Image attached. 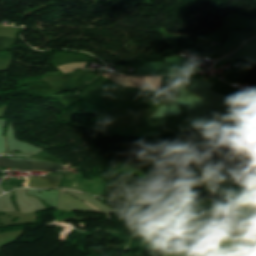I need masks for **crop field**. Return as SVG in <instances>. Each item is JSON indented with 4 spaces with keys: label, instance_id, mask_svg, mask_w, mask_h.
<instances>
[{
    "label": "crop field",
    "instance_id": "crop-field-4",
    "mask_svg": "<svg viewBox=\"0 0 256 256\" xmlns=\"http://www.w3.org/2000/svg\"><path fill=\"white\" fill-rule=\"evenodd\" d=\"M222 255L219 250L216 251H211V252H203V253H198V254H193V255H188V256H220Z\"/></svg>",
    "mask_w": 256,
    "mask_h": 256
},
{
    "label": "crop field",
    "instance_id": "crop-field-1",
    "mask_svg": "<svg viewBox=\"0 0 256 256\" xmlns=\"http://www.w3.org/2000/svg\"><path fill=\"white\" fill-rule=\"evenodd\" d=\"M202 149L195 153L194 163L212 169L237 168L244 165L245 161L238 158L236 148L206 144Z\"/></svg>",
    "mask_w": 256,
    "mask_h": 256
},
{
    "label": "crop field",
    "instance_id": "crop-field-2",
    "mask_svg": "<svg viewBox=\"0 0 256 256\" xmlns=\"http://www.w3.org/2000/svg\"><path fill=\"white\" fill-rule=\"evenodd\" d=\"M0 167H13L24 171L44 170L46 172L61 169V165L58 164L10 158H0Z\"/></svg>",
    "mask_w": 256,
    "mask_h": 256
},
{
    "label": "crop field",
    "instance_id": "crop-field-3",
    "mask_svg": "<svg viewBox=\"0 0 256 256\" xmlns=\"http://www.w3.org/2000/svg\"><path fill=\"white\" fill-rule=\"evenodd\" d=\"M240 170L256 188V162H250L247 166L240 168Z\"/></svg>",
    "mask_w": 256,
    "mask_h": 256
}]
</instances>
